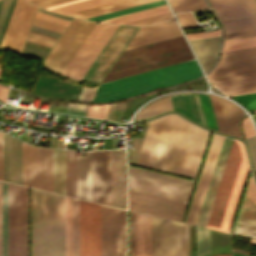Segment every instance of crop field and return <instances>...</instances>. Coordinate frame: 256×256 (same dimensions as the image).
Segmentation results:
<instances>
[{
  "instance_id": "crop-field-1",
  "label": "crop field",
  "mask_w": 256,
  "mask_h": 256,
  "mask_svg": "<svg viewBox=\"0 0 256 256\" xmlns=\"http://www.w3.org/2000/svg\"><path fill=\"white\" fill-rule=\"evenodd\" d=\"M95 22L74 18L44 61L43 67L61 73ZM118 25L97 23L62 74L81 80ZM138 27L119 25L82 80L101 82Z\"/></svg>"
},
{
  "instance_id": "crop-field-2",
  "label": "crop field",
  "mask_w": 256,
  "mask_h": 256,
  "mask_svg": "<svg viewBox=\"0 0 256 256\" xmlns=\"http://www.w3.org/2000/svg\"><path fill=\"white\" fill-rule=\"evenodd\" d=\"M209 132L176 115L154 120L136 164L195 178Z\"/></svg>"
},
{
  "instance_id": "crop-field-3",
  "label": "crop field",
  "mask_w": 256,
  "mask_h": 256,
  "mask_svg": "<svg viewBox=\"0 0 256 256\" xmlns=\"http://www.w3.org/2000/svg\"><path fill=\"white\" fill-rule=\"evenodd\" d=\"M248 171L243 145L234 139L209 217L208 228L230 232Z\"/></svg>"
},
{
  "instance_id": "crop-field-4",
  "label": "crop field",
  "mask_w": 256,
  "mask_h": 256,
  "mask_svg": "<svg viewBox=\"0 0 256 256\" xmlns=\"http://www.w3.org/2000/svg\"><path fill=\"white\" fill-rule=\"evenodd\" d=\"M106 83H102L93 102L118 100L171 86L202 75L196 60Z\"/></svg>"
},
{
  "instance_id": "crop-field-5",
  "label": "crop field",
  "mask_w": 256,
  "mask_h": 256,
  "mask_svg": "<svg viewBox=\"0 0 256 256\" xmlns=\"http://www.w3.org/2000/svg\"><path fill=\"white\" fill-rule=\"evenodd\" d=\"M33 256H63L62 196L32 189Z\"/></svg>"
},
{
  "instance_id": "crop-field-6",
  "label": "crop field",
  "mask_w": 256,
  "mask_h": 256,
  "mask_svg": "<svg viewBox=\"0 0 256 256\" xmlns=\"http://www.w3.org/2000/svg\"><path fill=\"white\" fill-rule=\"evenodd\" d=\"M191 58L194 57L183 36L125 50L104 81L163 67Z\"/></svg>"
},
{
  "instance_id": "crop-field-7",
  "label": "crop field",
  "mask_w": 256,
  "mask_h": 256,
  "mask_svg": "<svg viewBox=\"0 0 256 256\" xmlns=\"http://www.w3.org/2000/svg\"><path fill=\"white\" fill-rule=\"evenodd\" d=\"M3 256L29 255L28 188L2 182Z\"/></svg>"
},
{
  "instance_id": "crop-field-8",
  "label": "crop field",
  "mask_w": 256,
  "mask_h": 256,
  "mask_svg": "<svg viewBox=\"0 0 256 256\" xmlns=\"http://www.w3.org/2000/svg\"><path fill=\"white\" fill-rule=\"evenodd\" d=\"M192 180L161 174L129 166L131 191L188 202Z\"/></svg>"
},
{
  "instance_id": "crop-field-9",
  "label": "crop field",
  "mask_w": 256,
  "mask_h": 256,
  "mask_svg": "<svg viewBox=\"0 0 256 256\" xmlns=\"http://www.w3.org/2000/svg\"><path fill=\"white\" fill-rule=\"evenodd\" d=\"M219 65L207 76L210 82L256 76V48L225 52Z\"/></svg>"
},
{
  "instance_id": "crop-field-10",
  "label": "crop field",
  "mask_w": 256,
  "mask_h": 256,
  "mask_svg": "<svg viewBox=\"0 0 256 256\" xmlns=\"http://www.w3.org/2000/svg\"><path fill=\"white\" fill-rule=\"evenodd\" d=\"M36 9L27 0L16 1L0 47L22 52Z\"/></svg>"
},
{
  "instance_id": "crop-field-11",
  "label": "crop field",
  "mask_w": 256,
  "mask_h": 256,
  "mask_svg": "<svg viewBox=\"0 0 256 256\" xmlns=\"http://www.w3.org/2000/svg\"><path fill=\"white\" fill-rule=\"evenodd\" d=\"M80 256H101L100 205L80 200Z\"/></svg>"
},
{
  "instance_id": "crop-field-12",
  "label": "crop field",
  "mask_w": 256,
  "mask_h": 256,
  "mask_svg": "<svg viewBox=\"0 0 256 256\" xmlns=\"http://www.w3.org/2000/svg\"><path fill=\"white\" fill-rule=\"evenodd\" d=\"M185 203L129 191V209L181 221Z\"/></svg>"
},
{
  "instance_id": "crop-field-13",
  "label": "crop field",
  "mask_w": 256,
  "mask_h": 256,
  "mask_svg": "<svg viewBox=\"0 0 256 256\" xmlns=\"http://www.w3.org/2000/svg\"><path fill=\"white\" fill-rule=\"evenodd\" d=\"M170 97L174 110L180 111L189 118L217 130L208 95L177 94Z\"/></svg>"
},
{
  "instance_id": "crop-field-14",
  "label": "crop field",
  "mask_w": 256,
  "mask_h": 256,
  "mask_svg": "<svg viewBox=\"0 0 256 256\" xmlns=\"http://www.w3.org/2000/svg\"><path fill=\"white\" fill-rule=\"evenodd\" d=\"M160 256H187V225L159 219Z\"/></svg>"
},
{
  "instance_id": "crop-field-15",
  "label": "crop field",
  "mask_w": 256,
  "mask_h": 256,
  "mask_svg": "<svg viewBox=\"0 0 256 256\" xmlns=\"http://www.w3.org/2000/svg\"><path fill=\"white\" fill-rule=\"evenodd\" d=\"M93 201L110 205V150L92 151Z\"/></svg>"
},
{
  "instance_id": "crop-field-16",
  "label": "crop field",
  "mask_w": 256,
  "mask_h": 256,
  "mask_svg": "<svg viewBox=\"0 0 256 256\" xmlns=\"http://www.w3.org/2000/svg\"><path fill=\"white\" fill-rule=\"evenodd\" d=\"M222 136L214 135L208 157L193 199V203L187 218V223L195 224L197 223L200 210L207 192V188L214 170V166L221 148L223 141Z\"/></svg>"
},
{
  "instance_id": "crop-field-17",
  "label": "crop field",
  "mask_w": 256,
  "mask_h": 256,
  "mask_svg": "<svg viewBox=\"0 0 256 256\" xmlns=\"http://www.w3.org/2000/svg\"><path fill=\"white\" fill-rule=\"evenodd\" d=\"M209 96L218 130L220 132L241 137L238 120L243 116L244 112L237 105L222 97L217 95Z\"/></svg>"
},
{
  "instance_id": "crop-field-18",
  "label": "crop field",
  "mask_w": 256,
  "mask_h": 256,
  "mask_svg": "<svg viewBox=\"0 0 256 256\" xmlns=\"http://www.w3.org/2000/svg\"><path fill=\"white\" fill-rule=\"evenodd\" d=\"M4 180L22 184V142L5 133Z\"/></svg>"
},
{
  "instance_id": "crop-field-19",
  "label": "crop field",
  "mask_w": 256,
  "mask_h": 256,
  "mask_svg": "<svg viewBox=\"0 0 256 256\" xmlns=\"http://www.w3.org/2000/svg\"><path fill=\"white\" fill-rule=\"evenodd\" d=\"M182 35L174 19L139 28L125 49Z\"/></svg>"
},
{
  "instance_id": "crop-field-20",
  "label": "crop field",
  "mask_w": 256,
  "mask_h": 256,
  "mask_svg": "<svg viewBox=\"0 0 256 256\" xmlns=\"http://www.w3.org/2000/svg\"><path fill=\"white\" fill-rule=\"evenodd\" d=\"M232 140L233 139H231V138H227V137L224 138L222 148H221L218 160H217V164H216V167H215L212 179H211V183H210V186H209L206 198H205V202H204L201 214H200V218H199V221L197 224L199 226H203V227L206 226L208 216H209L212 204H213V200H214V197H215L218 185H219V181H220V178H221L224 166H225V162H226L229 150H230Z\"/></svg>"
},
{
  "instance_id": "crop-field-21",
  "label": "crop field",
  "mask_w": 256,
  "mask_h": 256,
  "mask_svg": "<svg viewBox=\"0 0 256 256\" xmlns=\"http://www.w3.org/2000/svg\"><path fill=\"white\" fill-rule=\"evenodd\" d=\"M218 18L255 13L256 0H208Z\"/></svg>"
},
{
  "instance_id": "crop-field-22",
  "label": "crop field",
  "mask_w": 256,
  "mask_h": 256,
  "mask_svg": "<svg viewBox=\"0 0 256 256\" xmlns=\"http://www.w3.org/2000/svg\"><path fill=\"white\" fill-rule=\"evenodd\" d=\"M220 21L226 33L225 40L256 36V15Z\"/></svg>"
},
{
  "instance_id": "crop-field-23",
  "label": "crop field",
  "mask_w": 256,
  "mask_h": 256,
  "mask_svg": "<svg viewBox=\"0 0 256 256\" xmlns=\"http://www.w3.org/2000/svg\"><path fill=\"white\" fill-rule=\"evenodd\" d=\"M205 73L211 69L220 44V36L189 41Z\"/></svg>"
},
{
  "instance_id": "crop-field-24",
  "label": "crop field",
  "mask_w": 256,
  "mask_h": 256,
  "mask_svg": "<svg viewBox=\"0 0 256 256\" xmlns=\"http://www.w3.org/2000/svg\"><path fill=\"white\" fill-rule=\"evenodd\" d=\"M77 197L92 201L91 151L77 156Z\"/></svg>"
},
{
  "instance_id": "crop-field-25",
  "label": "crop field",
  "mask_w": 256,
  "mask_h": 256,
  "mask_svg": "<svg viewBox=\"0 0 256 256\" xmlns=\"http://www.w3.org/2000/svg\"><path fill=\"white\" fill-rule=\"evenodd\" d=\"M233 233L256 237V206L244 196Z\"/></svg>"
},
{
  "instance_id": "crop-field-26",
  "label": "crop field",
  "mask_w": 256,
  "mask_h": 256,
  "mask_svg": "<svg viewBox=\"0 0 256 256\" xmlns=\"http://www.w3.org/2000/svg\"><path fill=\"white\" fill-rule=\"evenodd\" d=\"M39 188L53 192V150L39 148Z\"/></svg>"
},
{
  "instance_id": "crop-field-27",
  "label": "crop field",
  "mask_w": 256,
  "mask_h": 256,
  "mask_svg": "<svg viewBox=\"0 0 256 256\" xmlns=\"http://www.w3.org/2000/svg\"><path fill=\"white\" fill-rule=\"evenodd\" d=\"M64 256H67L66 197L63 196ZM73 256H79V200L72 198Z\"/></svg>"
},
{
  "instance_id": "crop-field-28",
  "label": "crop field",
  "mask_w": 256,
  "mask_h": 256,
  "mask_svg": "<svg viewBox=\"0 0 256 256\" xmlns=\"http://www.w3.org/2000/svg\"><path fill=\"white\" fill-rule=\"evenodd\" d=\"M229 96L256 92V77L214 83Z\"/></svg>"
},
{
  "instance_id": "crop-field-29",
  "label": "crop field",
  "mask_w": 256,
  "mask_h": 256,
  "mask_svg": "<svg viewBox=\"0 0 256 256\" xmlns=\"http://www.w3.org/2000/svg\"><path fill=\"white\" fill-rule=\"evenodd\" d=\"M150 1H154V0H122V1L111 3V4L67 14V15L86 18V17L130 7V6H134V5H138V4H142Z\"/></svg>"
},
{
  "instance_id": "crop-field-30",
  "label": "crop field",
  "mask_w": 256,
  "mask_h": 256,
  "mask_svg": "<svg viewBox=\"0 0 256 256\" xmlns=\"http://www.w3.org/2000/svg\"><path fill=\"white\" fill-rule=\"evenodd\" d=\"M54 192L65 194L64 150L54 149Z\"/></svg>"
},
{
  "instance_id": "crop-field-31",
  "label": "crop field",
  "mask_w": 256,
  "mask_h": 256,
  "mask_svg": "<svg viewBox=\"0 0 256 256\" xmlns=\"http://www.w3.org/2000/svg\"><path fill=\"white\" fill-rule=\"evenodd\" d=\"M66 194L76 197L75 151L65 150Z\"/></svg>"
},
{
  "instance_id": "crop-field-32",
  "label": "crop field",
  "mask_w": 256,
  "mask_h": 256,
  "mask_svg": "<svg viewBox=\"0 0 256 256\" xmlns=\"http://www.w3.org/2000/svg\"><path fill=\"white\" fill-rule=\"evenodd\" d=\"M167 110H173L169 96L160 100H156L151 104L147 105L146 107H144L143 109H141L136 114L134 120L150 117Z\"/></svg>"
},
{
  "instance_id": "crop-field-33",
  "label": "crop field",
  "mask_w": 256,
  "mask_h": 256,
  "mask_svg": "<svg viewBox=\"0 0 256 256\" xmlns=\"http://www.w3.org/2000/svg\"><path fill=\"white\" fill-rule=\"evenodd\" d=\"M169 11L170 10L168 9L167 5H165V6H161V7H157V8H153V9H149V10H145V11H141V12H137V13H133V14L117 17V18H113V19H109V20H105L102 22L123 24V23L135 21L138 19L154 16V15L169 12Z\"/></svg>"
},
{
  "instance_id": "crop-field-34",
  "label": "crop field",
  "mask_w": 256,
  "mask_h": 256,
  "mask_svg": "<svg viewBox=\"0 0 256 256\" xmlns=\"http://www.w3.org/2000/svg\"><path fill=\"white\" fill-rule=\"evenodd\" d=\"M164 4H166L164 0H158V1L150 2V3H146V4H142V5H138V6H134V7H130V8H126V9H122V10H118V11H114V12H110V13H106V14H102V15H98V16H94V17H90L87 19L100 21V20L132 13V12H136V11L164 5Z\"/></svg>"
},
{
  "instance_id": "crop-field-35",
  "label": "crop field",
  "mask_w": 256,
  "mask_h": 256,
  "mask_svg": "<svg viewBox=\"0 0 256 256\" xmlns=\"http://www.w3.org/2000/svg\"><path fill=\"white\" fill-rule=\"evenodd\" d=\"M175 12L209 8L204 0H169Z\"/></svg>"
},
{
  "instance_id": "crop-field-36",
  "label": "crop field",
  "mask_w": 256,
  "mask_h": 256,
  "mask_svg": "<svg viewBox=\"0 0 256 256\" xmlns=\"http://www.w3.org/2000/svg\"><path fill=\"white\" fill-rule=\"evenodd\" d=\"M113 1H117V0H86L78 3L50 9V10H54V11L66 14L69 12H73V11H77V10H81V9H85V8L113 2Z\"/></svg>"
},
{
  "instance_id": "crop-field-37",
  "label": "crop field",
  "mask_w": 256,
  "mask_h": 256,
  "mask_svg": "<svg viewBox=\"0 0 256 256\" xmlns=\"http://www.w3.org/2000/svg\"><path fill=\"white\" fill-rule=\"evenodd\" d=\"M14 3L15 0L0 1V42L2 40Z\"/></svg>"
},
{
  "instance_id": "crop-field-38",
  "label": "crop field",
  "mask_w": 256,
  "mask_h": 256,
  "mask_svg": "<svg viewBox=\"0 0 256 256\" xmlns=\"http://www.w3.org/2000/svg\"><path fill=\"white\" fill-rule=\"evenodd\" d=\"M210 252V230L197 227V256Z\"/></svg>"
},
{
  "instance_id": "crop-field-39",
  "label": "crop field",
  "mask_w": 256,
  "mask_h": 256,
  "mask_svg": "<svg viewBox=\"0 0 256 256\" xmlns=\"http://www.w3.org/2000/svg\"><path fill=\"white\" fill-rule=\"evenodd\" d=\"M255 46H256V37L228 40V41H225L224 43L223 51L255 47Z\"/></svg>"
},
{
  "instance_id": "crop-field-40",
  "label": "crop field",
  "mask_w": 256,
  "mask_h": 256,
  "mask_svg": "<svg viewBox=\"0 0 256 256\" xmlns=\"http://www.w3.org/2000/svg\"><path fill=\"white\" fill-rule=\"evenodd\" d=\"M232 98L243 104L248 110L256 107V93L233 96Z\"/></svg>"
},
{
  "instance_id": "crop-field-41",
  "label": "crop field",
  "mask_w": 256,
  "mask_h": 256,
  "mask_svg": "<svg viewBox=\"0 0 256 256\" xmlns=\"http://www.w3.org/2000/svg\"><path fill=\"white\" fill-rule=\"evenodd\" d=\"M108 105H93L89 104L86 116L99 117L105 119Z\"/></svg>"
},
{
  "instance_id": "crop-field-42",
  "label": "crop field",
  "mask_w": 256,
  "mask_h": 256,
  "mask_svg": "<svg viewBox=\"0 0 256 256\" xmlns=\"http://www.w3.org/2000/svg\"><path fill=\"white\" fill-rule=\"evenodd\" d=\"M183 29L198 27L190 12L176 14Z\"/></svg>"
},
{
  "instance_id": "crop-field-43",
  "label": "crop field",
  "mask_w": 256,
  "mask_h": 256,
  "mask_svg": "<svg viewBox=\"0 0 256 256\" xmlns=\"http://www.w3.org/2000/svg\"><path fill=\"white\" fill-rule=\"evenodd\" d=\"M33 24L37 25V26H40V27H43V28H47V29L59 32V33H61L65 28L64 25L54 23V22H51V21H48V20H44V19H41V18H37V17L35 18V21H34Z\"/></svg>"
},
{
  "instance_id": "crop-field-44",
  "label": "crop field",
  "mask_w": 256,
  "mask_h": 256,
  "mask_svg": "<svg viewBox=\"0 0 256 256\" xmlns=\"http://www.w3.org/2000/svg\"><path fill=\"white\" fill-rule=\"evenodd\" d=\"M172 17L173 16H172L171 12H169V13L157 15V16H154V17L138 20V21H135V22L127 23V24L142 26V25L150 24V23H153V22L161 21V20H164V19L172 18Z\"/></svg>"
},
{
  "instance_id": "crop-field-45",
  "label": "crop field",
  "mask_w": 256,
  "mask_h": 256,
  "mask_svg": "<svg viewBox=\"0 0 256 256\" xmlns=\"http://www.w3.org/2000/svg\"><path fill=\"white\" fill-rule=\"evenodd\" d=\"M87 106L88 105L68 103L66 113L85 116Z\"/></svg>"
},
{
  "instance_id": "crop-field-46",
  "label": "crop field",
  "mask_w": 256,
  "mask_h": 256,
  "mask_svg": "<svg viewBox=\"0 0 256 256\" xmlns=\"http://www.w3.org/2000/svg\"><path fill=\"white\" fill-rule=\"evenodd\" d=\"M246 140L248 142L249 151H250L254 168L256 169V135L249 137Z\"/></svg>"
},
{
  "instance_id": "crop-field-47",
  "label": "crop field",
  "mask_w": 256,
  "mask_h": 256,
  "mask_svg": "<svg viewBox=\"0 0 256 256\" xmlns=\"http://www.w3.org/2000/svg\"><path fill=\"white\" fill-rule=\"evenodd\" d=\"M188 37V40H192V39H198V38H204V37H211V36H217L220 35V30L216 29L210 32H199V33H190V34H186Z\"/></svg>"
},
{
  "instance_id": "crop-field-48",
  "label": "crop field",
  "mask_w": 256,
  "mask_h": 256,
  "mask_svg": "<svg viewBox=\"0 0 256 256\" xmlns=\"http://www.w3.org/2000/svg\"><path fill=\"white\" fill-rule=\"evenodd\" d=\"M30 1L40 5L43 8H45V7L65 3V2H68V1H72V0H30Z\"/></svg>"
},
{
  "instance_id": "crop-field-49",
  "label": "crop field",
  "mask_w": 256,
  "mask_h": 256,
  "mask_svg": "<svg viewBox=\"0 0 256 256\" xmlns=\"http://www.w3.org/2000/svg\"><path fill=\"white\" fill-rule=\"evenodd\" d=\"M97 86L94 88L84 87L78 100L91 101Z\"/></svg>"
},
{
  "instance_id": "crop-field-50",
  "label": "crop field",
  "mask_w": 256,
  "mask_h": 256,
  "mask_svg": "<svg viewBox=\"0 0 256 256\" xmlns=\"http://www.w3.org/2000/svg\"><path fill=\"white\" fill-rule=\"evenodd\" d=\"M36 16L44 18V19H48V20H51V21H54V22H58V23H61V24H65V25L68 23V20L61 19V18L52 16V15H49V14H45V13L39 12V11L37 12Z\"/></svg>"
},
{
  "instance_id": "crop-field-51",
  "label": "crop field",
  "mask_w": 256,
  "mask_h": 256,
  "mask_svg": "<svg viewBox=\"0 0 256 256\" xmlns=\"http://www.w3.org/2000/svg\"><path fill=\"white\" fill-rule=\"evenodd\" d=\"M242 126L246 138L255 134L248 117L243 120Z\"/></svg>"
},
{
  "instance_id": "crop-field-52",
  "label": "crop field",
  "mask_w": 256,
  "mask_h": 256,
  "mask_svg": "<svg viewBox=\"0 0 256 256\" xmlns=\"http://www.w3.org/2000/svg\"><path fill=\"white\" fill-rule=\"evenodd\" d=\"M246 194L253 200V202L256 204V184L252 179H250L249 186L247 189Z\"/></svg>"
},
{
  "instance_id": "crop-field-53",
  "label": "crop field",
  "mask_w": 256,
  "mask_h": 256,
  "mask_svg": "<svg viewBox=\"0 0 256 256\" xmlns=\"http://www.w3.org/2000/svg\"><path fill=\"white\" fill-rule=\"evenodd\" d=\"M0 177L3 178V135H0Z\"/></svg>"
},
{
  "instance_id": "crop-field-54",
  "label": "crop field",
  "mask_w": 256,
  "mask_h": 256,
  "mask_svg": "<svg viewBox=\"0 0 256 256\" xmlns=\"http://www.w3.org/2000/svg\"><path fill=\"white\" fill-rule=\"evenodd\" d=\"M28 37L32 38V39H35V40H38V41H42V42L51 44V45L54 43V40L47 39V38H44V37H41V36H38V35H34V34H31V33L29 34Z\"/></svg>"
},
{
  "instance_id": "crop-field-55",
  "label": "crop field",
  "mask_w": 256,
  "mask_h": 256,
  "mask_svg": "<svg viewBox=\"0 0 256 256\" xmlns=\"http://www.w3.org/2000/svg\"><path fill=\"white\" fill-rule=\"evenodd\" d=\"M0 256H2V232H1V182H0Z\"/></svg>"
},
{
  "instance_id": "crop-field-56",
  "label": "crop field",
  "mask_w": 256,
  "mask_h": 256,
  "mask_svg": "<svg viewBox=\"0 0 256 256\" xmlns=\"http://www.w3.org/2000/svg\"><path fill=\"white\" fill-rule=\"evenodd\" d=\"M7 92V87L0 85V100L4 101Z\"/></svg>"
},
{
  "instance_id": "crop-field-57",
  "label": "crop field",
  "mask_w": 256,
  "mask_h": 256,
  "mask_svg": "<svg viewBox=\"0 0 256 256\" xmlns=\"http://www.w3.org/2000/svg\"><path fill=\"white\" fill-rule=\"evenodd\" d=\"M78 1H82V0H77V1L69 2V3H65V4L49 7V8H46V9H50V8H54V7H58V6H62V5H66V4H70V3H74V2H78Z\"/></svg>"
},
{
  "instance_id": "crop-field-58",
  "label": "crop field",
  "mask_w": 256,
  "mask_h": 256,
  "mask_svg": "<svg viewBox=\"0 0 256 256\" xmlns=\"http://www.w3.org/2000/svg\"><path fill=\"white\" fill-rule=\"evenodd\" d=\"M28 41H32V42H35V43H39V44H43V45H46V46H50L51 47V45H48V44H45V43H42V42H38V41H35V40H32V39H27Z\"/></svg>"
},
{
  "instance_id": "crop-field-59",
  "label": "crop field",
  "mask_w": 256,
  "mask_h": 256,
  "mask_svg": "<svg viewBox=\"0 0 256 256\" xmlns=\"http://www.w3.org/2000/svg\"><path fill=\"white\" fill-rule=\"evenodd\" d=\"M63 143L64 142L57 141L56 147L62 148L63 147Z\"/></svg>"
},
{
  "instance_id": "crop-field-60",
  "label": "crop field",
  "mask_w": 256,
  "mask_h": 256,
  "mask_svg": "<svg viewBox=\"0 0 256 256\" xmlns=\"http://www.w3.org/2000/svg\"><path fill=\"white\" fill-rule=\"evenodd\" d=\"M31 33L38 34V35H41V36H44V37H47V38H51V39L56 40V38H52V37H49V36H46V35H42V34H39V33H36V32H32V31H31Z\"/></svg>"
},
{
  "instance_id": "crop-field-61",
  "label": "crop field",
  "mask_w": 256,
  "mask_h": 256,
  "mask_svg": "<svg viewBox=\"0 0 256 256\" xmlns=\"http://www.w3.org/2000/svg\"><path fill=\"white\" fill-rule=\"evenodd\" d=\"M250 243L256 244V239L252 238Z\"/></svg>"
},
{
  "instance_id": "crop-field-62",
  "label": "crop field",
  "mask_w": 256,
  "mask_h": 256,
  "mask_svg": "<svg viewBox=\"0 0 256 256\" xmlns=\"http://www.w3.org/2000/svg\"><path fill=\"white\" fill-rule=\"evenodd\" d=\"M256 14V13H255ZM248 15H254V14H248ZM242 16H246V15H242ZM235 17H239V16H235ZM228 18H231V17H228ZM223 19V18H222Z\"/></svg>"
},
{
  "instance_id": "crop-field-63",
  "label": "crop field",
  "mask_w": 256,
  "mask_h": 256,
  "mask_svg": "<svg viewBox=\"0 0 256 256\" xmlns=\"http://www.w3.org/2000/svg\"><path fill=\"white\" fill-rule=\"evenodd\" d=\"M221 256H232V255H221Z\"/></svg>"
},
{
  "instance_id": "crop-field-64",
  "label": "crop field",
  "mask_w": 256,
  "mask_h": 256,
  "mask_svg": "<svg viewBox=\"0 0 256 256\" xmlns=\"http://www.w3.org/2000/svg\"><path fill=\"white\" fill-rule=\"evenodd\" d=\"M2 70L0 69V74H1Z\"/></svg>"
},
{
  "instance_id": "crop-field-65",
  "label": "crop field",
  "mask_w": 256,
  "mask_h": 256,
  "mask_svg": "<svg viewBox=\"0 0 256 256\" xmlns=\"http://www.w3.org/2000/svg\"><path fill=\"white\" fill-rule=\"evenodd\" d=\"M233 256H236V255H233Z\"/></svg>"
},
{
  "instance_id": "crop-field-66",
  "label": "crop field",
  "mask_w": 256,
  "mask_h": 256,
  "mask_svg": "<svg viewBox=\"0 0 256 256\" xmlns=\"http://www.w3.org/2000/svg\"><path fill=\"white\" fill-rule=\"evenodd\" d=\"M218 256H220V255H218Z\"/></svg>"
}]
</instances>
